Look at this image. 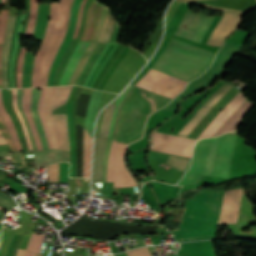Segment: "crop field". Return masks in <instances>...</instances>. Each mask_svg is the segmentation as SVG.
Returning a JSON list of instances; mask_svg holds the SVG:
<instances>
[{"label": "crop field", "mask_w": 256, "mask_h": 256, "mask_svg": "<svg viewBox=\"0 0 256 256\" xmlns=\"http://www.w3.org/2000/svg\"><path fill=\"white\" fill-rule=\"evenodd\" d=\"M68 163L60 164V182H67L68 180Z\"/></svg>", "instance_id": "crop-field-40"}, {"label": "crop field", "mask_w": 256, "mask_h": 256, "mask_svg": "<svg viewBox=\"0 0 256 256\" xmlns=\"http://www.w3.org/2000/svg\"><path fill=\"white\" fill-rule=\"evenodd\" d=\"M214 53L172 38L152 69L189 82L210 66Z\"/></svg>", "instance_id": "crop-field-4"}, {"label": "crop field", "mask_w": 256, "mask_h": 256, "mask_svg": "<svg viewBox=\"0 0 256 256\" xmlns=\"http://www.w3.org/2000/svg\"><path fill=\"white\" fill-rule=\"evenodd\" d=\"M1 3H5V0H1Z\"/></svg>", "instance_id": "crop-field-48"}, {"label": "crop field", "mask_w": 256, "mask_h": 256, "mask_svg": "<svg viewBox=\"0 0 256 256\" xmlns=\"http://www.w3.org/2000/svg\"><path fill=\"white\" fill-rule=\"evenodd\" d=\"M31 255H32V253L25 251V255L24 256H31Z\"/></svg>", "instance_id": "crop-field-46"}, {"label": "crop field", "mask_w": 256, "mask_h": 256, "mask_svg": "<svg viewBox=\"0 0 256 256\" xmlns=\"http://www.w3.org/2000/svg\"><path fill=\"white\" fill-rule=\"evenodd\" d=\"M71 103H69L67 105L68 132H69V142H70V152H71V159H70L71 171H70V177H72V173H73V138H72V122H71Z\"/></svg>", "instance_id": "crop-field-29"}, {"label": "crop field", "mask_w": 256, "mask_h": 256, "mask_svg": "<svg viewBox=\"0 0 256 256\" xmlns=\"http://www.w3.org/2000/svg\"><path fill=\"white\" fill-rule=\"evenodd\" d=\"M31 216H32L31 214L26 213V212L23 211L22 214H21V217H20V220L22 222V227L16 228V229L3 227L2 242L0 244V256H5L6 255L9 244H10L11 239H12L14 234H23L24 233Z\"/></svg>", "instance_id": "crop-field-13"}, {"label": "crop field", "mask_w": 256, "mask_h": 256, "mask_svg": "<svg viewBox=\"0 0 256 256\" xmlns=\"http://www.w3.org/2000/svg\"><path fill=\"white\" fill-rule=\"evenodd\" d=\"M5 214H6V213H4V212L0 211V216H1V217H3V218H4Z\"/></svg>", "instance_id": "crop-field-47"}, {"label": "crop field", "mask_w": 256, "mask_h": 256, "mask_svg": "<svg viewBox=\"0 0 256 256\" xmlns=\"http://www.w3.org/2000/svg\"><path fill=\"white\" fill-rule=\"evenodd\" d=\"M34 54L26 53L25 60L23 64V79L22 87H31V76L32 67L34 63Z\"/></svg>", "instance_id": "crop-field-24"}, {"label": "crop field", "mask_w": 256, "mask_h": 256, "mask_svg": "<svg viewBox=\"0 0 256 256\" xmlns=\"http://www.w3.org/2000/svg\"><path fill=\"white\" fill-rule=\"evenodd\" d=\"M114 23H115V21H114L112 15H111V13L109 12L108 17H107V21H106V25H105V29H104L102 38L100 40V43L108 42V40L111 36V33H112Z\"/></svg>", "instance_id": "crop-field-31"}, {"label": "crop field", "mask_w": 256, "mask_h": 256, "mask_svg": "<svg viewBox=\"0 0 256 256\" xmlns=\"http://www.w3.org/2000/svg\"><path fill=\"white\" fill-rule=\"evenodd\" d=\"M2 46L3 45H0V88H3L2 80H1V50H2Z\"/></svg>", "instance_id": "crop-field-43"}, {"label": "crop field", "mask_w": 256, "mask_h": 256, "mask_svg": "<svg viewBox=\"0 0 256 256\" xmlns=\"http://www.w3.org/2000/svg\"><path fill=\"white\" fill-rule=\"evenodd\" d=\"M82 0H74L73 2V5L71 7V16H70V22H69V26H68V31H67V34L59 48V51L57 53V56L51 66V70H50V73H49V81H48V86H52V79H53V76L56 72V69L59 65V62H60V59L75 31V26H76V19H77V13H78V9L80 7V4H81Z\"/></svg>", "instance_id": "crop-field-11"}, {"label": "crop field", "mask_w": 256, "mask_h": 256, "mask_svg": "<svg viewBox=\"0 0 256 256\" xmlns=\"http://www.w3.org/2000/svg\"><path fill=\"white\" fill-rule=\"evenodd\" d=\"M237 138V132H231L197 142L192 164L179 185L197 183L203 175L229 178Z\"/></svg>", "instance_id": "crop-field-3"}, {"label": "crop field", "mask_w": 256, "mask_h": 256, "mask_svg": "<svg viewBox=\"0 0 256 256\" xmlns=\"http://www.w3.org/2000/svg\"><path fill=\"white\" fill-rule=\"evenodd\" d=\"M68 1L69 0H61L60 3H51L50 17L52 18L49 20L45 38L42 42L41 49L36 56V58L43 59V64L42 60L35 59L33 67L32 87L39 86L41 64L42 72L40 78V86H44L43 81L47 66L63 30Z\"/></svg>", "instance_id": "crop-field-6"}, {"label": "crop field", "mask_w": 256, "mask_h": 256, "mask_svg": "<svg viewBox=\"0 0 256 256\" xmlns=\"http://www.w3.org/2000/svg\"><path fill=\"white\" fill-rule=\"evenodd\" d=\"M152 150L191 158L194 141L153 133Z\"/></svg>", "instance_id": "crop-field-8"}, {"label": "crop field", "mask_w": 256, "mask_h": 256, "mask_svg": "<svg viewBox=\"0 0 256 256\" xmlns=\"http://www.w3.org/2000/svg\"><path fill=\"white\" fill-rule=\"evenodd\" d=\"M33 256H36V254L33 253ZM37 256H41V255H38V254H37Z\"/></svg>", "instance_id": "crop-field-49"}, {"label": "crop field", "mask_w": 256, "mask_h": 256, "mask_svg": "<svg viewBox=\"0 0 256 256\" xmlns=\"http://www.w3.org/2000/svg\"><path fill=\"white\" fill-rule=\"evenodd\" d=\"M108 12H109V10L105 6H103V8L100 12V15H99V21L97 24L96 32L93 37V41H95V42H98L102 35L105 19L107 17Z\"/></svg>", "instance_id": "crop-field-27"}, {"label": "crop field", "mask_w": 256, "mask_h": 256, "mask_svg": "<svg viewBox=\"0 0 256 256\" xmlns=\"http://www.w3.org/2000/svg\"><path fill=\"white\" fill-rule=\"evenodd\" d=\"M26 48H22L20 55L18 57V62H17V70H16V75H17V87H21V73H22V63L24 59Z\"/></svg>", "instance_id": "crop-field-34"}, {"label": "crop field", "mask_w": 256, "mask_h": 256, "mask_svg": "<svg viewBox=\"0 0 256 256\" xmlns=\"http://www.w3.org/2000/svg\"><path fill=\"white\" fill-rule=\"evenodd\" d=\"M132 87H133V86L130 85V86L122 93V95L117 99V101L115 102L113 117H112L110 129H109L107 150H106V155H105V159H104V166H103V182H106V167H107V161H108V157H109V152H110V147H111V142H112V136H113V130H114L116 118H117V115H118L119 107H120V105H121L123 99L125 98V96H126V95L129 93V91L132 89Z\"/></svg>", "instance_id": "crop-field-19"}, {"label": "crop field", "mask_w": 256, "mask_h": 256, "mask_svg": "<svg viewBox=\"0 0 256 256\" xmlns=\"http://www.w3.org/2000/svg\"><path fill=\"white\" fill-rule=\"evenodd\" d=\"M58 164H53L49 166V182L58 181Z\"/></svg>", "instance_id": "crop-field-39"}, {"label": "crop field", "mask_w": 256, "mask_h": 256, "mask_svg": "<svg viewBox=\"0 0 256 256\" xmlns=\"http://www.w3.org/2000/svg\"><path fill=\"white\" fill-rule=\"evenodd\" d=\"M97 46V43L91 42V44L89 45V47L86 49V51L84 52L71 80H70V84L69 85H73L76 80L78 79L85 63L87 62L89 56L91 55V53L93 52V50L95 49V47Z\"/></svg>", "instance_id": "crop-field-25"}, {"label": "crop field", "mask_w": 256, "mask_h": 256, "mask_svg": "<svg viewBox=\"0 0 256 256\" xmlns=\"http://www.w3.org/2000/svg\"><path fill=\"white\" fill-rule=\"evenodd\" d=\"M0 144H6V141L2 137L1 133H0Z\"/></svg>", "instance_id": "crop-field-45"}, {"label": "crop field", "mask_w": 256, "mask_h": 256, "mask_svg": "<svg viewBox=\"0 0 256 256\" xmlns=\"http://www.w3.org/2000/svg\"><path fill=\"white\" fill-rule=\"evenodd\" d=\"M113 106H114V104H111L110 109H106L104 112L99 137L107 138Z\"/></svg>", "instance_id": "crop-field-28"}, {"label": "crop field", "mask_w": 256, "mask_h": 256, "mask_svg": "<svg viewBox=\"0 0 256 256\" xmlns=\"http://www.w3.org/2000/svg\"><path fill=\"white\" fill-rule=\"evenodd\" d=\"M92 138L84 129L83 177H89Z\"/></svg>", "instance_id": "crop-field-23"}, {"label": "crop field", "mask_w": 256, "mask_h": 256, "mask_svg": "<svg viewBox=\"0 0 256 256\" xmlns=\"http://www.w3.org/2000/svg\"><path fill=\"white\" fill-rule=\"evenodd\" d=\"M0 131L4 135V137L6 138L10 150L11 151H16L15 147H14V144H13V142L11 140V137L9 135V132H8L6 126H5V124H4V122H3L2 118H1V115H0Z\"/></svg>", "instance_id": "crop-field-36"}, {"label": "crop field", "mask_w": 256, "mask_h": 256, "mask_svg": "<svg viewBox=\"0 0 256 256\" xmlns=\"http://www.w3.org/2000/svg\"><path fill=\"white\" fill-rule=\"evenodd\" d=\"M238 93L233 87L228 94L217 104V106L205 117V119L194 129V131L188 136V138L196 139L199 134L206 128V126L214 119L219 113V109H223L229 101Z\"/></svg>", "instance_id": "crop-field-12"}, {"label": "crop field", "mask_w": 256, "mask_h": 256, "mask_svg": "<svg viewBox=\"0 0 256 256\" xmlns=\"http://www.w3.org/2000/svg\"><path fill=\"white\" fill-rule=\"evenodd\" d=\"M17 99H18V109L20 111V113L22 114L24 120H25V123H26V127H27V130L29 132V135H30V138H31V142H32V145H33V149L34 150H37L36 147H35V142H34V139H33V136H32V133L30 131V128H29V125H28V122L22 112V109H21V89H17Z\"/></svg>", "instance_id": "crop-field-38"}, {"label": "crop field", "mask_w": 256, "mask_h": 256, "mask_svg": "<svg viewBox=\"0 0 256 256\" xmlns=\"http://www.w3.org/2000/svg\"><path fill=\"white\" fill-rule=\"evenodd\" d=\"M36 165L48 166L55 162L69 161V152L64 150H46L34 152Z\"/></svg>", "instance_id": "crop-field-14"}, {"label": "crop field", "mask_w": 256, "mask_h": 256, "mask_svg": "<svg viewBox=\"0 0 256 256\" xmlns=\"http://www.w3.org/2000/svg\"><path fill=\"white\" fill-rule=\"evenodd\" d=\"M205 17L206 16H204L200 12L197 15L187 9L182 21L180 22L175 32V35H178L185 39L192 40L195 32L197 31V29L199 28V26L201 25ZM240 17L241 15L224 12L223 17L221 18L215 30L213 31L207 44L221 47L222 42L227 37V35L233 32L237 28L240 21ZM213 18L214 17H206V19L204 20V22L196 32L193 38L194 41H197L200 43L202 37L204 36Z\"/></svg>", "instance_id": "crop-field-5"}, {"label": "crop field", "mask_w": 256, "mask_h": 256, "mask_svg": "<svg viewBox=\"0 0 256 256\" xmlns=\"http://www.w3.org/2000/svg\"><path fill=\"white\" fill-rule=\"evenodd\" d=\"M86 1H87V0H83V2H82V4H81V7H80V9H79L76 31H75V33H74V35H73V37H72L73 39L76 38V35H77V32H78V28H79V24H80L81 14H82L83 7H84V4H85Z\"/></svg>", "instance_id": "crop-field-42"}, {"label": "crop field", "mask_w": 256, "mask_h": 256, "mask_svg": "<svg viewBox=\"0 0 256 256\" xmlns=\"http://www.w3.org/2000/svg\"><path fill=\"white\" fill-rule=\"evenodd\" d=\"M72 86L49 87L43 112L53 148L69 150L66 115H52V110L66 103Z\"/></svg>", "instance_id": "crop-field-7"}, {"label": "crop field", "mask_w": 256, "mask_h": 256, "mask_svg": "<svg viewBox=\"0 0 256 256\" xmlns=\"http://www.w3.org/2000/svg\"><path fill=\"white\" fill-rule=\"evenodd\" d=\"M169 101L168 98L136 86L124 99L116 122L107 167V182H114V188L136 186L123 165L126 146L142 137L148 115Z\"/></svg>", "instance_id": "crop-field-1"}, {"label": "crop field", "mask_w": 256, "mask_h": 256, "mask_svg": "<svg viewBox=\"0 0 256 256\" xmlns=\"http://www.w3.org/2000/svg\"><path fill=\"white\" fill-rule=\"evenodd\" d=\"M242 93H238L231 102L215 117L208 127L200 134L197 140L206 137H212L215 132L224 124V122L237 110V108L246 100L242 97Z\"/></svg>", "instance_id": "crop-field-10"}, {"label": "crop field", "mask_w": 256, "mask_h": 256, "mask_svg": "<svg viewBox=\"0 0 256 256\" xmlns=\"http://www.w3.org/2000/svg\"><path fill=\"white\" fill-rule=\"evenodd\" d=\"M9 11L1 10V17H0V44H3L4 39V31L7 23Z\"/></svg>", "instance_id": "crop-field-35"}, {"label": "crop field", "mask_w": 256, "mask_h": 256, "mask_svg": "<svg viewBox=\"0 0 256 256\" xmlns=\"http://www.w3.org/2000/svg\"><path fill=\"white\" fill-rule=\"evenodd\" d=\"M37 17V0H31L30 4V16L25 36H32L35 27V21Z\"/></svg>", "instance_id": "crop-field-26"}, {"label": "crop field", "mask_w": 256, "mask_h": 256, "mask_svg": "<svg viewBox=\"0 0 256 256\" xmlns=\"http://www.w3.org/2000/svg\"><path fill=\"white\" fill-rule=\"evenodd\" d=\"M43 239L44 236L33 234L27 249L40 254Z\"/></svg>", "instance_id": "crop-field-30"}, {"label": "crop field", "mask_w": 256, "mask_h": 256, "mask_svg": "<svg viewBox=\"0 0 256 256\" xmlns=\"http://www.w3.org/2000/svg\"><path fill=\"white\" fill-rule=\"evenodd\" d=\"M242 190L225 192L219 224H236L241 202Z\"/></svg>", "instance_id": "crop-field-9"}, {"label": "crop field", "mask_w": 256, "mask_h": 256, "mask_svg": "<svg viewBox=\"0 0 256 256\" xmlns=\"http://www.w3.org/2000/svg\"><path fill=\"white\" fill-rule=\"evenodd\" d=\"M128 256H151L150 252L148 251L147 247L127 251Z\"/></svg>", "instance_id": "crop-field-41"}, {"label": "crop field", "mask_w": 256, "mask_h": 256, "mask_svg": "<svg viewBox=\"0 0 256 256\" xmlns=\"http://www.w3.org/2000/svg\"><path fill=\"white\" fill-rule=\"evenodd\" d=\"M45 90H46V88H42V92H41L39 103H38V111H39L40 118H41V120L43 122V125H44L46 137H47V140H48V146H49V149H50L52 147H51V144H50V140H49V136H48L44 116H43V113H42V106H43V101H44V96H45Z\"/></svg>", "instance_id": "crop-field-32"}, {"label": "crop field", "mask_w": 256, "mask_h": 256, "mask_svg": "<svg viewBox=\"0 0 256 256\" xmlns=\"http://www.w3.org/2000/svg\"><path fill=\"white\" fill-rule=\"evenodd\" d=\"M101 6L102 5H99L96 2V0H92L91 4L89 6V9L87 11L86 23H85V27H84V31H83L81 40H91L92 39L94 32H95L98 14L101 9Z\"/></svg>", "instance_id": "crop-field-16"}, {"label": "crop field", "mask_w": 256, "mask_h": 256, "mask_svg": "<svg viewBox=\"0 0 256 256\" xmlns=\"http://www.w3.org/2000/svg\"><path fill=\"white\" fill-rule=\"evenodd\" d=\"M12 95H13V108L15 110V112L17 113L21 123H22V126H23V129H24V132H25V136H26V140H27V144H28V148L29 150H33L32 149V145H31V142H30V139L27 135V131H26V128H25V124H24V121L19 113V111L17 110V104H16V89H12Z\"/></svg>", "instance_id": "crop-field-33"}, {"label": "crop field", "mask_w": 256, "mask_h": 256, "mask_svg": "<svg viewBox=\"0 0 256 256\" xmlns=\"http://www.w3.org/2000/svg\"><path fill=\"white\" fill-rule=\"evenodd\" d=\"M0 228H1V224H0Z\"/></svg>", "instance_id": "crop-field-50"}, {"label": "crop field", "mask_w": 256, "mask_h": 256, "mask_svg": "<svg viewBox=\"0 0 256 256\" xmlns=\"http://www.w3.org/2000/svg\"><path fill=\"white\" fill-rule=\"evenodd\" d=\"M25 250L18 249L15 256H23Z\"/></svg>", "instance_id": "crop-field-44"}, {"label": "crop field", "mask_w": 256, "mask_h": 256, "mask_svg": "<svg viewBox=\"0 0 256 256\" xmlns=\"http://www.w3.org/2000/svg\"><path fill=\"white\" fill-rule=\"evenodd\" d=\"M107 140L96 138L94 147V174L93 182H102V165Z\"/></svg>", "instance_id": "crop-field-17"}, {"label": "crop field", "mask_w": 256, "mask_h": 256, "mask_svg": "<svg viewBox=\"0 0 256 256\" xmlns=\"http://www.w3.org/2000/svg\"><path fill=\"white\" fill-rule=\"evenodd\" d=\"M40 92L41 91H37L36 88H32L31 114H32L34 123L37 127L38 133L40 135L43 149L45 150V149H48L47 141H46V137H45V134L43 131L42 122L39 118L38 111H37V103H38Z\"/></svg>", "instance_id": "crop-field-22"}, {"label": "crop field", "mask_w": 256, "mask_h": 256, "mask_svg": "<svg viewBox=\"0 0 256 256\" xmlns=\"http://www.w3.org/2000/svg\"><path fill=\"white\" fill-rule=\"evenodd\" d=\"M15 18L16 16H9L8 18L7 28L5 32V39H4V47L2 50V79H3L4 88L8 87L7 78H6L7 55L10 47V37L12 34Z\"/></svg>", "instance_id": "crop-field-20"}, {"label": "crop field", "mask_w": 256, "mask_h": 256, "mask_svg": "<svg viewBox=\"0 0 256 256\" xmlns=\"http://www.w3.org/2000/svg\"><path fill=\"white\" fill-rule=\"evenodd\" d=\"M224 191H201L185 202L179 228L173 230L176 242L217 238Z\"/></svg>", "instance_id": "crop-field-2"}, {"label": "crop field", "mask_w": 256, "mask_h": 256, "mask_svg": "<svg viewBox=\"0 0 256 256\" xmlns=\"http://www.w3.org/2000/svg\"><path fill=\"white\" fill-rule=\"evenodd\" d=\"M49 6L50 4H39L38 5V17L34 32V37L43 40L47 22H48V16H49Z\"/></svg>", "instance_id": "crop-field-21"}, {"label": "crop field", "mask_w": 256, "mask_h": 256, "mask_svg": "<svg viewBox=\"0 0 256 256\" xmlns=\"http://www.w3.org/2000/svg\"><path fill=\"white\" fill-rule=\"evenodd\" d=\"M248 99L239 107V109L225 122V124L216 132L213 136H218L223 133H227L236 129L238 123L244 116V114L254 106Z\"/></svg>", "instance_id": "crop-field-18"}, {"label": "crop field", "mask_w": 256, "mask_h": 256, "mask_svg": "<svg viewBox=\"0 0 256 256\" xmlns=\"http://www.w3.org/2000/svg\"><path fill=\"white\" fill-rule=\"evenodd\" d=\"M90 44V42H80L77 44L73 54L71 55L66 69L61 77L60 84L59 85H68L69 79L71 75L73 74L80 58L87 46Z\"/></svg>", "instance_id": "crop-field-15"}, {"label": "crop field", "mask_w": 256, "mask_h": 256, "mask_svg": "<svg viewBox=\"0 0 256 256\" xmlns=\"http://www.w3.org/2000/svg\"><path fill=\"white\" fill-rule=\"evenodd\" d=\"M0 205L6 209H10L12 207H15V203L14 201L9 197L7 196L6 194L2 193L0 191Z\"/></svg>", "instance_id": "crop-field-37"}]
</instances>
